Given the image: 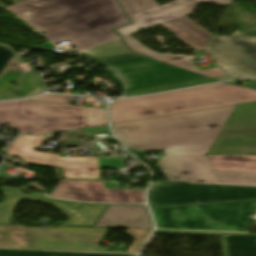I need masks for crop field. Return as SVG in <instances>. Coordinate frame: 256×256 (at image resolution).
Here are the masks:
<instances>
[{
	"label": "crop field",
	"instance_id": "22f410ed",
	"mask_svg": "<svg viewBox=\"0 0 256 256\" xmlns=\"http://www.w3.org/2000/svg\"><path fill=\"white\" fill-rule=\"evenodd\" d=\"M4 202L0 203V222H8L13 212L14 204L20 198L52 202L58 209L70 217L67 224L93 225L106 205L82 204L69 201L32 197L25 195L7 194Z\"/></svg>",
	"mask_w": 256,
	"mask_h": 256
},
{
	"label": "crop field",
	"instance_id": "5142ce71",
	"mask_svg": "<svg viewBox=\"0 0 256 256\" xmlns=\"http://www.w3.org/2000/svg\"><path fill=\"white\" fill-rule=\"evenodd\" d=\"M95 227L152 229V222L144 206L110 205Z\"/></svg>",
	"mask_w": 256,
	"mask_h": 256
},
{
	"label": "crop field",
	"instance_id": "eef30255",
	"mask_svg": "<svg viewBox=\"0 0 256 256\" xmlns=\"http://www.w3.org/2000/svg\"><path fill=\"white\" fill-rule=\"evenodd\" d=\"M13 55L14 54L12 53V51L10 49H8L5 46L0 45V73L5 68V66L7 65V63L9 62L10 58Z\"/></svg>",
	"mask_w": 256,
	"mask_h": 256
},
{
	"label": "crop field",
	"instance_id": "4a817a6b",
	"mask_svg": "<svg viewBox=\"0 0 256 256\" xmlns=\"http://www.w3.org/2000/svg\"><path fill=\"white\" fill-rule=\"evenodd\" d=\"M192 58H194V57L185 56V55H181V54H176V55L156 58V60H159L161 62L170 64V65H174V66H177V67H180V68H183V69H187V70H190V71H193V72H197V73H200V74H203V75H207V76H210L212 78L226 75L224 72H222L218 68L199 71L190 63V60Z\"/></svg>",
	"mask_w": 256,
	"mask_h": 256
},
{
	"label": "crop field",
	"instance_id": "750c4746",
	"mask_svg": "<svg viewBox=\"0 0 256 256\" xmlns=\"http://www.w3.org/2000/svg\"><path fill=\"white\" fill-rule=\"evenodd\" d=\"M248 87L256 89V80H249Z\"/></svg>",
	"mask_w": 256,
	"mask_h": 256
},
{
	"label": "crop field",
	"instance_id": "ac0d7876",
	"mask_svg": "<svg viewBox=\"0 0 256 256\" xmlns=\"http://www.w3.org/2000/svg\"><path fill=\"white\" fill-rule=\"evenodd\" d=\"M53 43L69 39L80 50L118 37L128 23L116 0H26L7 7Z\"/></svg>",
	"mask_w": 256,
	"mask_h": 256
},
{
	"label": "crop field",
	"instance_id": "733c2abd",
	"mask_svg": "<svg viewBox=\"0 0 256 256\" xmlns=\"http://www.w3.org/2000/svg\"><path fill=\"white\" fill-rule=\"evenodd\" d=\"M207 157L215 170L256 171V155Z\"/></svg>",
	"mask_w": 256,
	"mask_h": 256
},
{
	"label": "crop field",
	"instance_id": "3316defc",
	"mask_svg": "<svg viewBox=\"0 0 256 256\" xmlns=\"http://www.w3.org/2000/svg\"><path fill=\"white\" fill-rule=\"evenodd\" d=\"M202 53L234 79L256 77V38L211 36Z\"/></svg>",
	"mask_w": 256,
	"mask_h": 256
},
{
	"label": "crop field",
	"instance_id": "d9b57169",
	"mask_svg": "<svg viewBox=\"0 0 256 256\" xmlns=\"http://www.w3.org/2000/svg\"><path fill=\"white\" fill-rule=\"evenodd\" d=\"M223 256H256V234L220 233Z\"/></svg>",
	"mask_w": 256,
	"mask_h": 256
},
{
	"label": "crop field",
	"instance_id": "ae1a2a85",
	"mask_svg": "<svg viewBox=\"0 0 256 256\" xmlns=\"http://www.w3.org/2000/svg\"><path fill=\"white\" fill-rule=\"evenodd\" d=\"M109 129L107 126L104 127H97V128H91V129H84L82 130L86 135L90 134H96V133H103L107 132Z\"/></svg>",
	"mask_w": 256,
	"mask_h": 256
},
{
	"label": "crop field",
	"instance_id": "dd49c442",
	"mask_svg": "<svg viewBox=\"0 0 256 256\" xmlns=\"http://www.w3.org/2000/svg\"><path fill=\"white\" fill-rule=\"evenodd\" d=\"M157 228L246 232L256 201L151 208Z\"/></svg>",
	"mask_w": 256,
	"mask_h": 256
},
{
	"label": "crop field",
	"instance_id": "d3111659",
	"mask_svg": "<svg viewBox=\"0 0 256 256\" xmlns=\"http://www.w3.org/2000/svg\"><path fill=\"white\" fill-rule=\"evenodd\" d=\"M52 47H54V46L52 44H50L49 42H47V43H43L38 46H35L33 48L38 49V50H44V49H48V48H52Z\"/></svg>",
	"mask_w": 256,
	"mask_h": 256
},
{
	"label": "crop field",
	"instance_id": "f4fd0767",
	"mask_svg": "<svg viewBox=\"0 0 256 256\" xmlns=\"http://www.w3.org/2000/svg\"><path fill=\"white\" fill-rule=\"evenodd\" d=\"M114 70L124 81L126 91L205 78L163 65L130 52L120 39L77 54Z\"/></svg>",
	"mask_w": 256,
	"mask_h": 256
},
{
	"label": "crop field",
	"instance_id": "bc2a9ffb",
	"mask_svg": "<svg viewBox=\"0 0 256 256\" xmlns=\"http://www.w3.org/2000/svg\"><path fill=\"white\" fill-rule=\"evenodd\" d=\"M0 256H135V255L75 253V252H50V251H25V250L0 249Z\"/></svg>",
	"mask_w": 256,
	"mask_h": 256
},
{
	"label": "crop field",
	"instance_id": "a9b5d70f",
	"mask_svg": "<svg viewBox=\"0 0 256 256\" xmlns=\"http://www.w3.org/2000/svg\"><path fill=\"white\" fill-rule=\"evenodd\" d=\"M87 123L89 126L103 125L106 123L105 109L85 107Z\"/></svg>",
	"mask_w": 256,
	"mask_h": 256
},
{
	"label": "crop field",
	"instance_id": "4177f3b9",
	"mask_svg": "<svg viewBox=\"0 0 256 256\" xmlns=\"http://www.w3.org/2000/svg\"><path fill=\"white\" fill-rule=\"evenodd\" d=\"M72 97L73 96H68V95L47 94V95H42V96H37V97L31 98L30 100L69 104Z\"/></svg>",
	"mask_w": 256,
	"mask_h": 256
},
{
	"label": "crop field",
	"instance_id": "5a996713",
	"mask_svg": "<svg viewBox=\"0 0 256 256\" xmlns=\"http://www.w3.org/2000/svg\"><path fill=\"white\" fill-rule=\"evenodd\" d=\"M256 198V187L194 185L185 182H152L150 206L220 202Z\"/></svg>",
	"mask_w": 256,
	"mask_h": 256
},
{
	"label": "crop field",
	"instance_id": "730fd06b",
	"mask_svg": "<svg viewBox=\"0 0 256 256\" xmlns=\"http://www.w3.org/2000/svg\"><path fill=\"white\" fill-rule=\"evenodd\" d=\"M154 233L219 236V233L178 230H155Z\"/></svg>",
	"mask_w": 256,
	"mask_h": 256
},
{
	"label": "crop field",
	"instance_id": "d1516ede",
	"mask_svg": "<svg viewBox=\"0 0 256 256\" xmlns=\"http://www.w3.org/2000/svg\"><path fill=\"white\" fill-rule=\"evenodd\" d=\"M141 190L105 189L102 181L61 180L48 197L107 203H145Z\"/></svg>",
	"mask_w": 256,
	"mask_h": 256
},
{
	"label": "crop field",
	"instance_id": "28ad6ade",
	"mask_svg": "<svg viewBox=\"0 0 256 256\" xmlns=\"http://www.w3.org/2000/svg\"><path fill=\"white\" fill-rule=\"evenodd\" d=\"M46 137L21 135L9 145L6 154L16 155L25 162L59 167L64 178L100 179L97 157L60 158L58 154L32 151Z\"/></svg>",
	"mask_w": 256,
	"mask_h": 256
},
{
	"label": "crop field",
	"instance_id": "34b2d1b8",
	"mask_svg": "<svg viewBox=\"0 0 256 256\" xmlns=\"http://www.w3.org/2000/svg\"><path fill=\"white\" fill-rule=\"evenodd\" d=\"M256 101V90L219 83L160 95L115 100L111 124Z\"/></svg>",
	"mask_w": 256,
	"mask_h": 256
},
{
	"label": "crop field",
	"instance_id": "d8731c3e",
	"mask_svg": "<svg viewBox=\"0 0 256 256\" xmlns=\"http://www.w3.org/2000/svg\"><path fill=\"white\" fill-rule=\"evenodd\" d=\"M107 228H38L0 225V247L104 252L99 242Z\"/></svg>",
	"mask_w": 256,
	"mask_h": 256
},
{
	"label": "crop field",
	"instance_id": "dafd665d",
	"mask_svg": "<svg viewBox=\"0 0 256 256\" xmlns=\"http://www.w3.org/2000/svg\"><path fill=\"white\" fill-rule=\"evenodd\" d=\"M150 230H139V229H127L125 233L131 236L134 240L127 251H111L120 253H138L144 239L148 235Z\"/></svg>",
	"mask_w": 256,
	"mask_h": 256
},
{
	"label": "crop field",
	"instance_id": "412701ff",
	"mask_svg": "<svg viewBox=\"0 0 256 256\" xmlns=\"http://www.w3.org/2000/svg\"><path fill=\"white\" fill-rule=\"evenodd\" d=\"M132 24L115 29L124 36L153 25H161L194 49L202 51L212 35L184 15L193 13L196 4L210 2L225 5L232 0H174L158 6L154 0H118Z\"/></svg>",
	"mask_w": 256,
	"mask_h": 256
},
{
	"label": "crop field",
	"instance_id": "92a150f3",
	"mask_svg": "<svg viewBox=\"0 0 256 256\" xmlns=\"http://www.w3.org/2000/svg\"><path fill=\"white\" fill-rule=\"evenodd\" d=\"M209 82H216V81L213 79H210V78H205V79L181 82V83H177V84H173V85L153 87V88H147V89L127 92L124 94V96L154 93V92H158V91L184 88V87H188V86H192V85H196V84L209 83Z\"/></svg>",
	"mask_w": 256,
	"mask_h": 256
},
{
	"label": "crop field",
	"instance_id": "00972430",
	"mask_svg": "<svg viewBox=\"0 0 256 256\" xmlns=\"http://www.w3.org/2000/svg\"><path fill=\"white\" fill-rule=\"evenodd\" d=\"M123 39L128 44L129 48H131L133 51L143 54L145 56H148L151 58H156V57L171 55V53L159 54V53L149 49L148 47L144 46L143 44L139 43L131 35L124 37Z\"/></svg>",
	"mask_w": 256,
	"mask_h": 256
},
{
	"label": "crop field",
	"instance_id": "214f88e0",
	"mask_svg": "<svg viewBox=\"0 0 256 256\" xmlns=\"http://www.w3.org/2000/svg\"><path fill=\"white\" fill-rule=\"evenodd\" d=\"M227 123H256V102L238 105Z\"/></svg>",
	"mask_w": 256,
	"mask_h": 256
},
{
	"label": "crop field",
	"instance_id": "8a807250",
	"mask_svg": "<svg viewBox=\"0 0 256 256\" xmlns=\"http://www.w3.org/2000/svg\"><path fill=\"white\" fill-rule=\"evenodd\" d=\"M237 105L111 125L134 155L163 150L156 163L169 181L256 186V172L215 171L206 155Z\"/></svg>",
	"mask_w": 256,
	"mask_h": 256
},
{
	"label": "crop field",
	"instance_id": "e52e79f7",
	"mask_svg": "<svg viewBox=\"0 0 256 256\" xmlns=\"http://www.w3.org/2000/svg\"><path fill=\"white\" fill-rule=\"evenodd\" d=\"M0 124L26 134L87 127L84 107L30 100L0 103Z\"/></svg>",
	"mask_w": 256,
	"mask_h": 256
},
{
	"label": "crop field",
	"instance_id": "cbeb9de0",
	"mask_svg": "<svg viewBox=\"0 0 256 256\" xmlns=\"http://www.w3.org/2000/svg\"><path fill=\"white\" fill-rule=\"evenodd\" d=\"M256 154V125H225L208 155Z\"/></svg>",
	"mask_w": 256,
	"mask_h": 256
}]
</instances>
